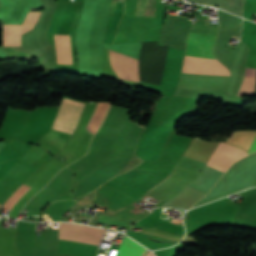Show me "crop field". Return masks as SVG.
Masks as SVG:
<instances>
[{
	"label": "crop field",
	"instance_id": "8a807250",
	"mask_svg": "<svg viewBox=\"0 0 256 256\" xmlns=\"http://www.w3.org/2000/svg\"><path fill=\"white\" fill-rule=\"evenodd\" d=\"M215 39L216 35L190 33L185 57L215 59L211 53ZM195 58H185L182 72L230 75L229 70L217 60ZM213 75L182 73L179 86L206 89H225L229 76Z\"/></svg>",
	"mask_w": 256,
	"mask_h": 256
},
{
	"label": "crop field",
	"instance_id": "ac0d7876",
	"mask_svg": "<svg viewBox=\"0 0 256 256\" xmlns=\"http://www.w3.org/2000/svg\"><path fill=\"white\" fill-rule=\"evenodd\" d=\"M83 103L64 99L52 129L72 134L84 109Z\"/></svg>",
	"mask_w": 256,
	"mask_h": 256
},
{
	"label": "crop field",
	"instance_id": "34b2d1b8",
	"mask_svg": "<svg viewBox=\"0 0 256 256\" xmlns=\"http://www.w3.org/2000/svg\"><path fill=\"white\" fill-rule=\"evenodd\" d=\"M104 233L103 229L60 223L59 238L98 246Z\"/></svg>",
	"mask_w": 256,
	"mask_h": 256
},
{
	"label": "crop field",
	"instance_id": "412701ff",
	"mask_svg": "<svg viewBox=\"0 0 256 256\" xmlns=\"http://www.w3.org/2000/svg\"><path fill=\"white\" fill-rule=\"evenodd\" d=\"M255 140H256V131L236 132V133H233V135L231 136V138L228 140L227 143H222V144L232 146L234 148H237V149L249 154ZM229 146L219 144V146L216 148V150L225 152V153L232 155L238 159L247 155V154H245L237 149H234L232 147H229ZM254 152H256V142H255L250 154L254 153Z\"/></svg>",
	"mask_w": 256,
	"mask_h": 256
},
{
	"label": "crop field",
	"instance_id": "f4fd0767",
	"mask_svg": "<svg viewBox=\"0 0 256 256\" xmlns=\"http://www.w3.org/2000/svg\"><path fill=\"white\" fill-rule=\"evenodd\" d=\"M29 113L30 111L8 109L0 127V140H12L19 136L26 126Z\"/></svg>",
	"mask_w": 256,
	"mask_h": 256
},
{
	"label": "crop field",
	"instance_id": "dd49c442",
	"mask_svg": "<svg viewBox=\"0 0 256 256\" xmlns=\"http://www.w3.org/2000/svg\"><path fill=\"white\" fill-rule=\"evenodd\" d=\"M110 62L119 78L139 82L137 59L110 50Z\"/></svg>",
	"mask_w": 256,
	"mask_h": 256
},
{
	"label": "crop field",
	"instance_id": "e52e79f7",
	"mask_svg": "<svg viewBox=\"0 0 256 256\" xmlns=\"http://www.w3.org/2000/svg\"><path fill=\"white\" fill-rule=\"evenodd\" d=\"M41 11H30L22 26L5 25L3 29L4 46H20V34L31 30Z\"/></svg>",
	"mask_w": 256,
	"mask_h": 256
},
{
	"label": "crop field",
	"instance_id": "d8731c3e",
	"mask_svg": "<svg viewBox=\"0 0 256 256\" xmlns=\"http://www.w3.org/2000/svg\"><path fill=\"white\" fill-rule=\"evenodd\" d=\"M58 63L72 64L69 36L55 35Z\"/></svg>",
	"mask_w": 256,
	"mask_h": 256
},
{
	"label": "crop field",
	"instance_id": "5a996713",
	"mask_svg": "<svg viewBox=\"0 0 256 256\" xmlns=\"http://www.w3.org/2000/svg\"><path fill=\"white\" fill-rule=\"evenodd\" d=\"M145 250L146 249L144 247H142L141 245L137 244L136 242L129 239L128 237H125L116 256H141ZM147 251L148 250H146L145 253Z\"/></svg>",
	"mask_w": 256,
	"mask_h": 256
},
{
	"label": "crop field",
	"instance_id": "3316defc",
	"mask_svg": "<svg viewBox=\"0 0 256 256\" xmlns=\"http://www.w3.org/2000/svg\"><path fill=\"white\" fill-rule=\"evenodd\" d=\"M237 95L256 96V71L246 70L242 85Z\"/></svg>",
	"mask_w": 256,
	"mask_h": 256
},
{
	"label": "crop field",
	"instance_id": "28ad6ade",
	"mask_svg": "<svg viewBox=\"0 0 256 256\" xmlns=\"http://www.w3.org/2000/svg\"><path fill=\"white\" fill-rule=\"evenodd\" d=\"M108 107H109V104H107V103H99L98 104V106H97L88 126H87V128L90 132L95 133L98 130V128L106 114Z\"/></svg>",
	"mask_w": 256,
	"mask_h": 256
},
{
	"label": "crop field",
	"instance_id": "d1516ede",
	"mask_svg": "<svg viewBox=\"0 0 256 256\" xmlns=\"http://www.w3.org/2000/svg\"><path fill=\"white\" fill-rule=\"evenodd\" d=\"M156 4L157 0H137L134 15L152 17Z\"/></svg>",
	"mask_w": 256,
	"mask_h": 256
},
{
	"label": "crop field",
	"instance_id": "22f410ed",
	"mask_svg": "<svg viewBox=\"0 0 256 256\" xmlns=\"http://www.w3.org/2000/svg\"><path fill=\"white\" fill-rule=\"evenodd\" d=\"M28 190L29 188L23 186L19 187L16 192L6 201L5 205L2 208L9 210L13 206V204Z\"/></svg>",
	"mask_w": 256,
	"mask_h": 256
},
{
	"label": "crop field",
	"instance_id": "cbeb9de0",
	"mask_svg": "<svg viewBox=\"0 0 256 256\" xmlns=\"http://www.w3.org/2000/svg\"><path fill=\"white\" fill-rule=\"evenodd\" d=\"M150 253V251L148 252V254ZM148 254L146 256H148ZM149 256H154V254L151 252Z\"/></svg>",
	"mask_w": 256,
	"mask_h": 256
}]
</instances>
